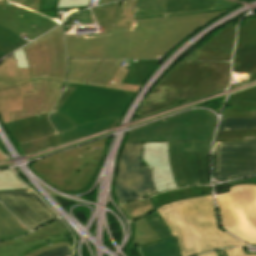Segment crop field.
Here are the masks:
<instances>
[{"mask_svg":"<svg viewBox=\"0 0 256 256\" xmlns=\"http://www.w3.org/2000/svg\"><path fill=\"white\" fill-rule=\"evenodd\" d=\"M12 57L0 65V117L3 123L9 122V111L22 110V92L34 91L29 69H17Z\"/></svg>","mask_w":256,"mask_h":256,"instance_id":"obj_12","label":"crop field"},{"mask_svg":"<svg viewBox=\"0 0 256 256\" xmlns=\"http://www.w3.org/2000/svg\"><path fill=\"white\" fill-rule=\"evenodd\" d=\"M114 1H118V0H100L98 5L104 4V3H108V2H114Z\"/></svg>","mask_w":256,"mask_h":256,"instance_id":"obj_36","label":"crop field"},{"mask_svg":"<svg viewBox=\"0 0 256 256\" xmlns=\"http://www.w3.org/2000/svg\"><path fill=\"white\" fill-rule=\"evenodd\" d=\"M223 229L256 245V185L241 184L216 197Z\"/></svg>","mask_w":256,"mask_h":256,"instance_id":"obj_8","label":"crop field"},{"mask_svg":"<svg viewBox=\"0 0 256 256\" xmlns=\"http://www.w3.org/2000/svg\"><path fill=\"white\" fill-rule=\"evenodd\" d=\"M0 1V24L13 30L19 37L27 35L31 40L58 25L46 17L26 9H14Z\"/></svg>","mask_w":256,"mask_h":256,"instance_id":"obj_13","label":"crop field"},{"mask_svg":"<svg viewBox=\"0 0 256 256\" xmlns=\"http://www.w3.org/2000/svg\"><path fill=\"white\" fill-rule=\"evenodd\" d=\"M229 79L230 62L181 61L148 94L137 115L225 89Z\"/></svg>","mask_w":256,"mask_h":256,"instance_id":"obj_6","label":"crop field"},{"mask_svg":"<svg viewBox=\"0 0 256 256\" xmlns=\"http://www.w3.org/2000/svg\"><path fill=\"white\" fill-rule=\"evenodd\" d=\"M67 245H71L69 241H66V242H61V243H57V244H53L51 246H44V247H41L25 256H35L37 254H40L46 250H49V249H52V248H56V247H60V246H67Z\"/></svg>","mask_w":256,"mask_h":256,"instance_id":"obj_31","label":"crop field"},{"mask_svg":"<svg viewBox=\"0 0 256 256\" xmlns=\"http://www.w3.org/2000/svg\"><path fill=\"white\" fill-rule=\"evenodd\" d=\"M24 1V0H23ZM23 1H16V2H14V3H18V4H20V3H22Z\"/></svg>","mask_w":256,"mask_h":256,"instance_id":"obj_38","label":"crop field"},{"mask_svg":"<svg viewBox=\"0 0 256 256\" xmlns=\"http://www.w3.org/2000/svg\"><path fill=\"white\" fill-rule=\"evenodd\" d=\"M232 71L256 73V46L236 47Z\"/></svg>","mask_w":256,"mask_h":256,"instance_id":"obj_21","label":"crop field"},{"mask_svg":"<svg viewBox=\"0 0 256 256\" xmlns=\"http://www.w3.org/2000/svg\"><path fill=\"white\" fill-rule=\"evenodd\" d=\"M231 55L228 52L198 49L195 60L231 61Z\"/></svg>","mask_w":256,"mask_h":256,"instance_id":"obj_27","label":"crop field"},{"mask_svg":"<svg viewBox=\"0 0 256 256\" xmlns=\"http://www.w3.org/2000/svg\"><path fill=\"white\" fill-rule=\"evenodd\" d=\"M215 124L209 112L192 110L131 130L127 143L144 142L143 159L153 166L157 193L209 184V143Z\"/></svg>","mask_w":256,"mask_h":256,"instance_id":"obj_3","label":"crop field"},{"mask_svg":"<svg viewBox=\"0 0 256 256\" xmlns=\"http://www.w3.org/2000/svg\"><path fill=\"white\" fill-rule=\"evenodd\" d=\"M21 5L31 8L37 12L41 11V0H26Z\"/></svg>","mask_w":256,"mask_h":256,"instance_id":"obj_33","label":"crop field"},{"mask_svg":"<svg viewBox=\"0 0 256 256\" xmlns=\"http://www.w3.org/2000/svg\"><path fill=\"white\" fill-rule=\"evenodd\" d=\"M255 174L256 142L216 144L214 178L226 181Z\"/></svg>","mask_w":256,"mask_h":256,"instance_id":"obj_10","label":"crop field"},{"mask_svg":"<svg viewBox=\"0 0 256 256\" xmlns=\"http://www.w3.org/2000/svg\"><path fill=\"white\" fill-rule=\"evenodd\" d=\"M56 220L37 231L18 239L0 242V256H23L43 245L69 240L68 232Z\"/></svg>","mask_w":256,"mask_h":256,"instance_id":"obj_14","label":"crop field"},{"mask_svg":"<svg viewBox=\"0 0 256 256\" xmlns=\"http://www.w3.org/2000/svg\"><path fill=\"white\" fill-rule=\"evenodd\" d=\"M93 8L92 11L105 33L65 38L68 57L156 59L171 46L235 5L216 0L212 9L162 13L136 8L134 28L131 17L135 0Z\"/></svg>","mask_w":256,"mask_h":256,"instance_id":"obj_1","label":"crop field"},{"mask_svg":"<svg viewBox=\"0 0 256 256\" xmlns=\"http://www.w3.org/2000/svg\"><path fill=\"white\" fill-rule=\"evenodd\" d=\"M241 183H254V184H256V177L249 178V179H244V180H239V181L229 182V186H233V185H237V184H241Z\"/></svg>","mask_w":256,"mask_h":256,"instance_id":"obj_35","label":"crop field"},{"mask_svg":"<svg viewBox=\"0 0 256 256\" xmlns=\"http://www.w3.org/2000/svg\"><path fill=\"white\" fill-rule=\"evenodd\" d=\"M143 143L125 144L119 157L115 178L118 203L141 199L155 194L152 167L141 166Z\"/></svg>","mask_w":256,"mask_h":256,"instance_id":"obj_9","label":"crop field"},{"mask_svg":"<svg viewBox=\"0 0 256 256\" xmlns=\"http://www.w3.org/2000/svg\"><path fill=\"white\" fill-rule=\"evenodd\" d=\"M105 139L46 157L30 169L60 191H80L89 186L103 156ZM100 147V150L93 148Z\"/></svg>","mask_w":256,"mask_h":256,"instance_id":"obj_7","label":"crop field"},{"mask_svg":"<svg viewBox=\"0 0 256 256\" xmlns=\"http://www.w3.org/2000/svg\"><path fill=\"white\" fill-rule=\"evenodd\" d=\"M256 129V119H225L222 118L219 131Z\"/></svg>","mask_w":256,"mask_h":256,"instance_id":"obj_25","label":"crop field"},{"mask_svg":"<svg viewBox=\"0 0 256 256\" xmlns=\"http://www.w3.org/2000/svg\"><path fill=\"white\" fill-rule=\"evenodd\" d=\"M35 92L23 93V111L6 128L18 143L55 134L47 115L62 93L66 55L61 26L23 47Z\"/></svg>","mask_w":256,"mask_h":256,"instance_id":"obj_4","label":"crop field"},{"mask_svg":"<svg viewBox=\"0 0 256 256\" xmlns=\"http://www.w3.org/2000/svg\"><path fill=\"white\" fill-rule=\"evenodd\" d=\"M76 16L81 20V24L95 22L89 10L80 12Z\"/></svg>","mask_w":256,"mask_h":256,"instance_id":"obj_32","label":"crop field"},{"mask_svg":"<svg viewBox=\"0 0 256 256\" xmlns=\"http://www.w3.org/2000/svg\"><path fill=\"white\" fill-rule=\"evenodd\" d=\"M15 217L0 203V241L29 233Z\"/></svg>","mask_w":256,"mask_h":256,"instance_id":"obj_20","label":"crop field"},{"mask_svg":"<svg viewBox=\"0 0 256 256\" xmlns=\"http://www.w3.org/2000/svg\"><path fill=\"white\" fill-rule=\"evenodd\" d=\"M228 99H252L256 100V87L247 89L237 94L229 96Z\"/></svg>","mask_w":256,"mask_h":256,"instance_id":"obj_28","label":"crop field"},{"mask_svg":"<svg viewBox=\"0 0 256 256\" xmlns=\"http://www.w3.org/2000/svg\"><path fill=\"white\" fill-rule=\"evenodd\" d=\"M256 101L228 100L226 103L225 118H255ZM256 136V130L218 132L216 142L245 141V137Z\"/></svg>","mask_w":256,"mask_h":256,"instance_id":"obj_16","label":"crop field"},{"mask_svg":"<svg viewBox=\"0 0 256 256\" xmlns=\"http://www.w3.org/2000/svg\"><path fill=\"white\" fill-rule=\"evenodd\" d=\"M226 256H256V255H246L243 248H230L224 249ZM199 256H217L215 251L202 254Z\"/></svg>","mask_w":256,"mask_h":256,"instance_id":"obj_30","label":"crop field"},{"mask_svg":"<svg viewBox=\"0 0 256 256\" xmlns=\"http://www.w3.org/2000/svg\"><path fill=\"white\" fill-rule=\"evenodd\" d=\"M100 61L68 59L66 90L49 116L59 134L21 144L24 155L94 134L118 123L137 93L84 85ZM157 62L136 60L122 83L141 86Z\"/></svg>","mask_w":256,"mask_h":256,"instance_id":"obj_2","label":"crop field"},{"mask_svg":"<svg viewBox=\"0 0 256 256\" xmlns=\"http://www.w3.org/2000/svg\"><path fill=\"white\" fill-rule=\"evenodd\" d=\"M25 44L13 31L0 25V58Z\"/></svg>","mask_w":256,"mask_h":256,"instance_id":"obj_23","label":"crop field"},{"mask_svg":"<svg viewBox=\"0 0 256 256\" xmlns=\"http://www.w3.org/2000/svg\"><path fill=\"white\" fill-rule=\"evenodd\" d=\"M146 220L163 241L141 247L142 256H181L176 237L172 238L156 211L146 217Z\"/></svg>","mask_w":256,"mask_h":256,"instance_id":"obj_17","label":"crop field"},{"mask_svg":"<svg viewBox=\"0 0 256 256\" xmlns=\"http://www.w3.org/2000/svg\"><path fill=\"white\" fill-rule=\"evenodd\" d=\"M28 188L14 174L12 170L0 171V191Z\"/></svg>","mask_w":256,"mask_h":256,"instance_id":"obj_26","label":"crop field"},{"mask_svg":"<svg viewBox=\"0 0 256 256\" xmlns=\"http://www.w3.org/2000/svg\"><path fill=\"white\" fill-rule=\"evenodd\" d=\"M0 160H5V158L3 157V155L0 153Z\"/></svg>","mask_w":256,"mask_h":256,"instance_id":"obj_37","label":"crop field"},{"mask_svg":"<svg viewBox=\"0 0 256 256\" xmlns=\"http://www.w3.org/2000/svg\"><path fill=\"white\" fill-rule=\"evenodd\" d=\"M70 255H71V246H68V247H61V248L49 250L38 256H70Z\"/></svg>","mask_w":256,"mask_h":256,"instance_id":"obj_29","label":"crop field"},{"mask_svg":"<svg viewBox=\"0 0 256 256\" xmlns=\"http://www.w3.org/2000/svg\"><path fill=\"white\" fill-rule=\"evenodd\" d=\"M56 3L57 0H42V11L54 9Z\"/></svg>","mask_w":256,"mask_h":256,"instance_id":"obj_34","label":"crop field"},{"mask_svg":"<svg viewBox=\"0 0 256 256\" xmlns=\"http://www.w3.org/2000/svg\"><path fill=\"white\" fill-rule=\"evenodd\" d=\"M215 0H138L136 7L163 11H189L212 8Z\"/></svg>","mask_w":256,"mask_h":256,"instance_id":"obj_18","label":"crop field"},{"mask_svg":"<svg viewBox=\"0 0 256 256\" xmlns=\"http://www.w3.org/2000/svg\"><path fill=\"white\" fill-rule=\"evenodd\" d=\"M122 207L135 222V234L132 246L146 245L160 240L149 223L144 219L145 216L156 210L150 198L124 204Z\"/></svg>","mask_w":256,"mask_h":256,"instance_id":"obj_15","label":"crop field"},{"mask_svg":"<svg viewBox=\"0 0 256 256\" xmlns=\"http://www.w3.org/2000/svg\"><path fill=\"white\" fill-rule=\"evenodd\" d=\"M210 193L209 187L204 186H195V187H187L181 188L174 191L160 193L151 198L154 203L156 209L162 205L163 203H171L181 199H186L198 195H206ZM155 198V200H153Z\"/></svg>","mask_w":256,"mask_h":256,"instance_id":"obj_19","label":"crop field"},{"mask_svg":"<svg viewBox=\"0 0 256 256\" xmlns=\"http://www.w3.org/2000/svg\"><path fill=\"white\" fill-rule=\"evenodd\" d=\"M0 201L31 231L58 219L30 189L0 192Z\"/></svg>","mask_w":256,"mask_h":256,"instance_id":"obj_11","label":"crop field"},{"mask_svg":"<svg viewBox=\"0 0 256 256\" xmlns=\"http://www.w3.org/2000/svg\"><path fill=\"white\" fill-rule=\"evenodd\" d=\"M157 211L172 235L177 236L182 256L223 247L248 246L220 229L212 194L163 204Z\"/></svg>","mask_w":256,"mask_h":256,"instance_id":"obj_5","label":"crop field"},{"mask_svg":"<svg viewBox=\"0 0 256 256\" xmlns=\"http://www.w3.org/2000/svg\"><path fill=\"white\" fill-rule=\"evenodd\" d=\"M236 37V27L226 26L200 48L232 52Z\"/></svg>","mask_w":256,"mask_h":256,"instance_id":"obj_22","label":"crop field"},{"mask_svg":"<svg viewBox=\"0 0 256 256\" xmlns=\"http://www.w3.org/2000/svg\"><path fill=\"white\" fill-rule=\"evenodd\" d=\"M243 23L238 27L236 46L256 45V19H247Z\"/></svg>","mask_w":256,"mask_h":256,"instance_id":"obj_24","label":"crop field"}]
</instances>
